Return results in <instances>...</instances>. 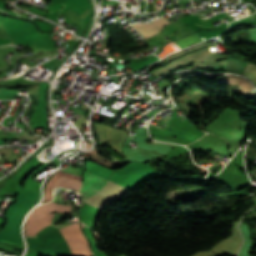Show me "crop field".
I'll return each instance as SVG.
<instances>
[{"instance_id": "crop-field-1", "label": "crop field", "mask_w": 256, "mask_h": 256, "mask_svg": "<svg viewBox=\"0 0 256 256\" xmlns=\"http://www.w3.org/2000/svg\"><path fill=\"white\" fill-rule=\"evenodd\" d=\"M105 183H107V180L85 170L83 187L80 191V194L84 197L83 200L85 201L89 195H91ZM126 191L127 189L109 181L106 185L88 197L86 203L94 205L98 208H102L103 206L122 197Z\"/></svg>"}, {"instance_id": "crop-field-2", "label": "crop field", "mask_w": 256, "mask_h": 256, "mask_svg": "<svg viewBox=\"0 0 256 256\" xmlns=\"http://www.w3.org/2000/svg\"><path fill=\"white\" fill-rule=\"evenodd\" d=\"M60 205L53 202L36 207L28 216L26 223V235L34 236L36 232L48 226L53 218L52 212H57ZM60 213H72L71 205H62Z\"/></svg>"}, {"instance_id": "crop-field-3", "label": "crop field", "mask_w": 256, "mask_h": 256, "mask_svg": "<svg viewBox=\"0 0 256 256\" xmlns=\"http://www.w3.org/2000/svg\"><path fill=\"white\" fill-rule=\"evenodd\" d=\"M58 186L68 187L78 192L82 186V177L75 176L66 172L57 171V173L51 178L46 187L45 196L42 203H47L52 200L51 190Z\"/></svg>"}, {"instance_id": "crop-field-4", "label": "crop field", "mask_w": 256, "mask_h": 256, "mask_svg": "<svg viewBox=\"0 0 256 256\" xmlns=\"http://www.w3.org/2000/svg\"><path fill=\"white\" fill-rule=\"evenodd\" d=\"M168 23H170V22H168L166 19L161 17L149 24L131 25V27H133L138 32H140L144 36V40H145L148 37L158 33L159 30Z\"/></svg>"}]
</instances>
